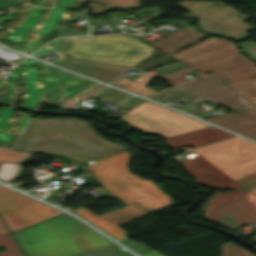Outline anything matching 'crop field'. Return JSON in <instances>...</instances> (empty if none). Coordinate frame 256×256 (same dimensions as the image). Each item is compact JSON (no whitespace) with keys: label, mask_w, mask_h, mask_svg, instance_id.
<instances>
[{"label":"crop field","mask_w":256,"mask_h":256,"mask_svg":"<svg viewBox=\"0 0 256 256\" xmlns=\"http://www.w3.org/2000/svg\"><path fill=\"white\" fill-rule=\"evenodd\" d=\"M224 215H227L242 223L251 224L256 222V209L252 206L247 198L206 212L204 213L203 219L213 222Z\"/></svg>","instance_id":"crop-field-13"},{"label":"crop field","mask_w":256,"mask_h":256,"mask_svg":"<svg viewBox=\"0 0 256 256\" xmlns=\"http://www.w3.org/2000/svg\"><path fill=\"white\" fill-rule=\"evenodd\" d=\"M3 233H9V231L7 230V228L5 227V225L0 219V234H3Z\"/></svg>","instance_id":"crop-field-26"},{"label":"crop field","mask_w":256,"mask_h":256,"mask_svg":"<svg viewBox=\"0 0 256 256\" xmlns=\"http://www.w3.org/2000/svg\"><path fill=\"white\" fill-rule=\"evenodd\" d=\"M126 148L100 137L89 122L77 119H31L15 150L66 156L90 164Z\"/></svg>","instance_id":"crop-field-2"},{"label":"crop field","mask_w":256,"mask_h":256,"mask_svg":"<svg viewBox=\"0 0 256 256\" xmlns=\"http://www.w3.org/2000/svg\"><path fill=\"white\" fill-rule=\"evenodd\" d=\"M38 202L0 185V215Z\"/></svg>","instance_id":"crop-field-16"},{"label":"crop field","mask_w":256,"mask_h":256,"mask_svg":"<svg viewBox=\"0 0 256 256\" xmlns=\"http://www.w3.org/2000/svg\"><path fill=\"white\" fill-rule=\"evenodd\" d=\"M172 56L189 65L171 73L158 76V78L172 86L188 81L183 76L196 69L208 71L231 63L248 60L238 53L234 43L216 37L203 40Z\"/></svg>","instance_id":"crop-field-5"},{"label":"crop field","mask_w":256,"mask_h":256,"mask_svg":"<svg viewBox=\"0 0 256 256\" xmlns=\"http://www.w3.org/2000/svg\"><path fill=\"white\" fill-rule=\"evenodd\" d=\"M74 211L120 240L126 239V237H124L123 235L127 232L120 229L116 225L125 223L127 221H130L132 219L152 212L150 209L146 208L145 206L138 202L125 205L124 210L116 209L99 216L91 213L90 211L82 207Z\"/></svg>","instance_id":"crop-field-9"},{"label":"crop field","mask_w":256,"mask_h":256,"mask_svg":"<svg viewBox=\"0 0 256 256\" xmlns=\"http://www.w3.org/2000/svg\"><path fill=\"white\" fill-rule=\"evenodd\" d=\"M123 242L126 243L127 245H129L130 247L134 248L135 250H137L140 253L150 251L148 248L144 247L141 244H137L130 239L123 240Z\"/></svg>","instance_id":"crop-field-23"},{"label":"crop field","mask_w":256,"mask_h":256,"mask_svg":"<svg viewBox=\"0 0 256 256\" xmlns=\"http://www.w3.org/2000/svg\"><path fill=\"white\" fill-rule=\"evenodd\" d=\"M121 120L143 134H157L165 138L210 127L186 115L175 113L147 100L124 113Z\"/></svg>","instance_id":"crop-field-6"},{"label":"crop field","mask_w":256,"mask_h":256,"mask_svg":"<svg viewBox=\"0 0 256 256\" xmlns=\"http://www.w3.org/2000/svg\"><path fill=\"white\" fill-rule=\"evenodd\" d=\"M252 227L256 228V224L252 225Z\"/></svg>","instance_id":"crop-field-27"},{"label":"crop field","mask_w":256,"mask_h":256,"mask_svg":"<svg viewBox=\"0 0 256 256\" xmlns=\"http://www.w3.org/2000/svg\"><path fill=\"white\" fill-rule=\"evenodd\" d=\"M74 256H132L130 253L112 243Z\"/></svg>","instance_id":"crop-field-18"},{"label":"crop field","mask_w":256,"mask_h":256,"mask_svg":"<svg viewBox=\"0 0 256 256\" xmlns=\"http://www.w3.org/2000/svg\"><path fill=\"white\" fill-rule=\"evenodd\" d=\"M27 256H71L112 243L65 214L14 232Z\"/></svg>","instance_id":"crop-field-3"},{"label":"crop field","mask_w":256,"mask_h":256,"mask_svg":"<svg viewBox=\"0 0 256 256\" xmlns=\"http://www.w3.org/2000/svg\"><path fill=\"white\" fill-rule=\"evenodd\" d=\"M63 213L41 202L2 215L11 232Z\"/></svg>","instance_id":"crop-field-11"},{"label":"crop field","mask_w":256,"mask_h":256,"mask_svg":"<svg viewBox=\"0 0 256 256\" xmlns=\"http://www.w3.org/2000/svg\"><path fill=\"white\" fill-rule=\"evenodd\" d=\"M58 65L106 83L110 82L128 68L127 66L95 62L72 57L65 59Z\"/></svg>","instance_id":"crop-field-10"},{"label":"crop field","mask_w":256,"mask_h":256,"mask_svg":"<svg viewBox=\"0 0 256 256\" xmlns=\"http://www.w3.org/2000/svg\"><path fill=\"white\" fill-rule=\"evenodd\" d=\"M153 79H154V77L142 73L133 82L120 77L115 82H113L112 85H115L117 87L123 88L125 90L134 92V93L142 95V96H150V95L156 93L157 91L151 90L144 86L147 85Z\"/></svg>","instance_id":"crop-field-17"},{"label":"crop field","mask_w":256,"mask_h":256,"mask_svg":"<svg viewBox=\"0 0 256 256\" xmlns=\"http://www.w3.org/2000/svg\"><path fill=\"white\" fill-rule=\"evenodd\" d=\"M199 155L180 163L201 184L239 189L216 193L203 212L247 197L256 208V189L246 193L235 181L256 171V144L240 137L193 150Z\"/></svg>","instance_id":"crop-field-1"},{"label":"crop field","mask_w":256,"mask_h":256,"mask_svg":"<svg viewBox=\"0 0 256 256\" xmlns=\"http://www.w3.org/2000/svg\"><path fill=\"white\" fill-rule=\"evenodd\" d=\"M144 256H164L163 254H161L159 251H153V252H149V253H145L143 254Z\"/></svg>","instance_id":"crop-field-25"},{"label":"crop field","mask_w":256,"mask_h":256,"mask_svg":"<svg viewBox=\"0 0 256 256\" xmlns=\"http://www.w3.org/2000/svg\"><path fill=\"white\" fill-rule=\"evenodd\" d=\"M209 72L218 78L229 81L230 87L256 105V66L254 62H243ZM238 113L256 120V108Z\"/></svg>","instance_id":"crop-field-7"},{"label":"crop field","mask_w":256,"mask_h":256,"mask_svg":"<svg viewBox=\"0 0 256 256\" xmlns=\"http://www.w3.org/2000/svg\"><path fill=\"white\" fill-rule=\"evenodd\" d=\"M231 136L235 135L219 130L214 127H210L199 131L187 133L184 135L168 138L165 139V142L169 144L173 149H176L188 144L197 147L203 144H207Z\"/></svg>","instance_id":"crop-field-14"},{"label":"crop field","mask_w":256,"mask_h":256,"mask_svg":"<svg viewBox=\"0 0 256 256\" xmlns=\"http://www.w3.org/2000/svg\"><path fill=\"white\" fill-rule=\"evenodd\" d=\"M222 250V256H254L230 241L222 244Z\"/></svg>","instance_id":"crop-field-21"},{"label":"crop field","mask_w":256,"mask_h":256,"mask_svg":"<svg viewBox=\"0 0 256 256\" xmlns=\"http://www.w3.org/2000/svg\"><path fill=\"white\" fill-rule=\"evenodd\" d=\"M30 155L31 154L29 153H21L13 150L0 149V161L4 162L22 163Z\"/></svg>","instance_id":"crop-field-20"},{"label":"crop field","mask_w":256,"mask_h":256,"mask_svg":"<svg viewBox=\"0 0 256 256\" xmlns=\"http://www.w3.org/2000/svg\"><path fill=\"white\" fill-rule=\"evenodd\" d=\"M128 151L87 165L83 172L89 170L100 182L99 184L124 204L139 201L153 211L170 207L171 200L151 180H143L128 172L126 162Z\"/></svg>","instance_id":"crop-field-4"},{"label":"crop field","mask_w":256,"mask_h":256,"mask_svg":"<svg viewBox=\"0 0 256 256\" xmlns=\"http://www.w3.org/2000/svg\"><path fill=\"white\" fill-rule=\"evenodd\" d=\"M180 87L208 98L220 105H223L233 111L243 107H252V104L237 95L225 84L209 75L197 81H191Z\"/></svg>","instance_id":"crop-field-8"},{"label":"crop field","mask_w":256,"mask_h":256,"mask_svg":"<svg viewBox=\"0 0 256 256\" xmlns=\"http://www.w3.org/2000/svg\"><path fill=\"white\" fill-rule=\"evenodd\" d=\"M208 35L199 32L191 24L171 35H168L160 40H157L149 45L160 49L168 54H171L179 49H182L192 43H195Z\"/></svg>","instance_id":"crop-field-12"},{"label":"crop field","mask_w":256,"mask_h":256,"mask_svg":"<svg viewBox=\"0 0 256 256\" xmlns=\"http://www.w3.org/2000/svg\"><path fill=\"white\" fill-rule=\"evenodd\" d=\"M0 246L5 247V250L0 252V256H24L11 234L0 235Z\"/></svg>","instance_id":"crop-field-19"},{"label":"crop field","mask_w":256,"mask_h":256,"mask_svg":"<svg viewBox=\"0 0 256 256\" xmlns=\"http://www.w3.org/2000/svg\"><path fill=\"white\" fill-rule=\"evenodd\" d=\"M237 183L246 191L256 188V172L237 181Z\"/></svg>","instance_id":"crop-field-22"},{"label":"crop field","mask_w":256,"mask_h":256,"mask_svg":"<svg viewBox=\"0 0 256 256\" xmlns=\"http://www.w3.org/2000/svg\"><path fill=\"white\" fill-rule=\"evenodd\" d=\"M20 3H22V2H18V1H14V0H0V9L9 7V6H13V5H17Z\"/></svg>","instance_id":"crop-field-24"},{"label":"crop field","mask_w":256,"mask_h":256,"mask_svg":"<svg viewBox=\"0 0 256 256\" xmlns=\"http://www.w3.org/2000/svg\"><path fill=\"white\" fill-rule=\"evenodd\" d=\"M205 120L256 140V121L246 118L236 112Z\"/></svg>","instance_id":"crop-field-15"}]
</instances>
